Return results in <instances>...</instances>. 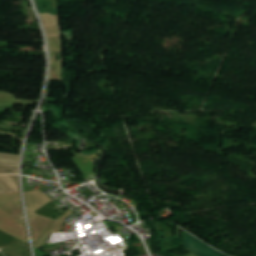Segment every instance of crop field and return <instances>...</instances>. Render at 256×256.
Listing matches in <instances>:
<instances>
[{"label": "crop field", "instance_id": "1", "mask_svg": "<svg viewBox=\"0 0 256 256\" xmlns=\"http://www.w3.org/2000/svg\"><path fill=\"white\" fill-rule=\"evenodd\" d=\"M185 248L189 251L199 255V256H226L215 249L209 247L202 241L191 236L190 234H185Z\"/></svg>", "mask_w": 256, "mask_h": 256}]
</instances>
